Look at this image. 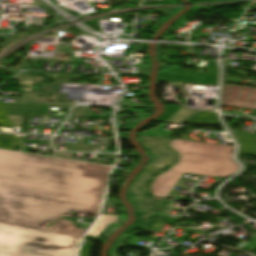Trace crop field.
Listing matches in <instances>:
<instances>
[{
    "label": "crop field",
    "instance_id": "1",
    "mask_svg": "<svg viewBox=\"0 0 256 256\" xmlns=\"http://www.w3.org/2000/svg\"><path fill=\"white\" fill-rule=\"evenodd\" d=\"M111 167L0 150V222L82 237L60 219L75 210L98 215Z\"/></svg>",
    "mask_w": 256,
    "mask_h": 256
},
{
    "label": "crop field",
    "instance_id": "2",
    "mask_svg": "<svg viewBox=\"0 0 256 256\" xmlns=\"http://www.w3.org/2000/svg\"><path fill=\"white\" fill-rule=\"evenodd\" d=\"M137 136L153 159L131 183L128 188L130 194L143 195L142 186L147 178L173 160L174 155L167 147L180 154V162L152 183V193L157 197L168 196L184 173L227 177L239 169V165L232 160L234 146L179 139L171 140L170 146H166L165 138Z\"/></svg>",
    "mask_w": 256,
    "mask_h": 256
},
{
    "label": "crop field",
    "instance_id": "3",
    "mask_svg": "<svg viewBox=\"0 0 256 256\" xmlns=\"http://www.w3.org/2000/svg\"><path fill=\"white\" fill-rule=\"evenodd\" d=\"M80 239L0 223V256H74Z\"/></svg>",
    "mask_w": 256,
    "mask_h": 256
},
{
    "label": "crop field",
    "instance_id": "4",
    "mask_svg": "<svg viewBox=\"0 0 256 256\" xmlns=\"http://www.w3.org/2000/svg\"><path fill=\"white\" fill-rule=\"evenodd\" d=\"M207 72H191V69L170 67L167 71L158 73L156 81L190 83L200 85L216 84L215 62L206 67Z\"/></svg>",
    "mask_w": 256,
    "mask_h": 256
},
{
    "label": "crop field",
    "instance_id": "5",
    "mask_svg": "<svg viewBox=\"0 0 256 256\" xmlns=\"http://www.w3.org/2000/svg\"><path fill=\"white\" fill-rule=\"evenodd\" d=\"M221 105L256 109V88L223 85Z\"/></svg>",
    "mask_w": 256,
    "mask_h": 256
},
{
    "label": "crop field",
    "instance_id": "6",
    "mask_svg": "<svg viewBox=\"0 0 256 256\" xmlns=\"http://www.w3.org/2000/svg\"><path fill=\"white\" fill-rule=\"evenodd\" d=\"M2 105L7 115H15V116H24L26 110H30L29 116H40V114H46L49 108V105H37V104L2 103Z\"/></svg>",
    "mask_w": 256,
    "mask_h": 256
},
{
    "label": "crop field",
    "instance_id": "7",
    "mask_svg": "<svg viewBox=\"0 0 256 256\" xmlns=\"http://www.w3.org/2000/svg\"><path fill=\"white\" fill-rule=\"evenodd\" d=\"M233 134L240 144L239 153L256 155V145H254V142H256V134L237 131H233Z\"/></svg>",
    "mask_w": 256,
    "mask_h": 256
},
{
    "label": "crop field",
    "instance_id": "8",
    "mask_svg": "<svg viewBox=\"0 0 256 256\" xmlns=\"http://www.w3.org/2000/svg\"><path fill=\"white\" fill-rule=\"evenodd\" d=\"M187 122L194 123V124H205V125H215L219 123L216 113H211V112L197 113L194 116H192L190 119H188Z\"/></svg>",
    "mask_w": 256,
    "mask_h": 256
},
{
    "label": "crop field",
    "instance_id": "9",
    "mask_svg": "<svg viewBox=\"0 0 256 256\" xmlns=\"http://www.w3.org/2000/svg\"><path fill=\"white\" fill-rule=\"evenodd\" d=\"M15 132L14 129L0 127V148L10 149Z\"/></svg>",
    "mask_w": 256,
    "mask_h": 256
},
{
    "label": "crop field",
    "instance_id": "10",
    "mask_svg": "<svg viewBox=\"0 0 256 256\" xmlns=\"http://www.w3.org/2000/svg\"><path fill=\"white\" fill-rule=\"evenodd\" d=\"M116 216L102 215L100 220L95 224V226L90 230L88 235L96 236L101 230H103L107 223L116 220Z\"/></svg>",
    "mask_w": 256,
    "mask_h": 256
},
{
    "label": "crop field",
    "instance_id": "11",
    "mask_svg": "<svg viewBox=\"0 0 256 256\" xmlns=\"http://www.w3.org/2000/svg\"><path fill=\"white\" fill-rule=\"evenodd\" d=\"M195 111L197 110L180 108L178 109V112L173 117H171L166 123L181 124L185 118H187Z\"/></svg>",
    "mask_w": 256,
    "mask_h": 256
},
{
    "label": "crop field",
    "instance_id": "12",
    "mask_svg": "<svg viewBox=\"0 0 256 256\" xmlns=\"http://www.w3.org/2000/svg\"><path fill=\"white\" fill-rule=\"evenodd\" d=\"M0 125L12 127L7 115L5 114V112L3 111V109L1 107H0Z\"/></svg>",
    "mask_w": 256,
    "mask_h": 256
},
{
    "label": "crop field",
    "instance_id": "13",
    "mask_svg": "<svg viewBox=\"0 0 256 256\" xmlns=\"http://www.w3.org/2000/svg\"><path fill=\"white\" fill-rule=\"evenodd\" d=\"M92 246V244L84 243L81 248V252L79 256H89V249Z\"/></svg>",
    "mask_w": 256,
    "mask_h": 256
}]
</instances>
